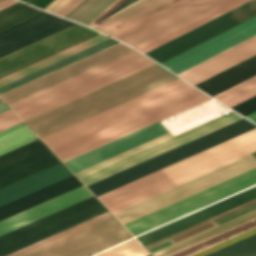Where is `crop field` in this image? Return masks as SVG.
I'll list each match as a JSON object with an SVG mask.
<instances>
[{"label": "crop field", "mask_w": 256, "mask_h": 256, "mask_svg": "<svg viewBox=\"0 0 256 256\" xmlns=\"http://www.w3.org/2000/svg\"><path fill=\"white\" fill-rule=\"evenodd\" d=\"M37 139L23 123L0 132V154Z\"/></svg>", "instance_id": "eef30255"}, {"label": "crop field", "mask_w": 256, "mask_h": 256, "mask_svg": "<svg viewBox=\"0 0 256 256\" xmlns=\"http://www.w3.org/2000/svg\"><path fill=\"white\" fill-rule=\"evenodd\" d=\"M183 0H141L94 29L113 36ZM230 0H185L113 37L138 47Z\"/></svg>", "instance_id": "f4fd0767"}, {"label": "crop field", "mask_w": 256, "mask_h": 256, "mask_svg": "<svg viewBox=\"0 0 256 256\" xmlns=\"http://www.w3.org/2000/svg\"><path fill=\"white\" fill-rule=\"evenodd\" d=\"M155 64L136 51L10 104L27 119L141 69Z\"/></svg>", "instance_id": "dd49c442"}, {"label": "crop field", "mask_w": 256, "mask_h": 256, "mask_svg": "<svg viewBox=\"0 0 256 256\" xmlns=\"http://www.w3.org/2000/svg\"><path fill=\"white\" fill-rule=\"evenodd\" d=\"M1 103H3V101L0 99V104ZM7 109H9V107L5 103L0 105V112H3L5 110H7Z\"/></svg>", "instance_id": "03da06ac"}, {"label": "crop field", "mask_w": 256, "mask_h": 256, "mask_svg": "<svg viewBox=\"0 0 256 256\" xmlns=\"http://www.w3.org/2000/svg\"><path fill=\"white\" fill-rule=\"evenodd\" d=\"M83 0H71L68 2L64 7H62L56 14L64 17L67 15L71 10H73L77 5H79Z\"/></svg>", "instance_id": "e1f06a70"}, {"label": "crop field", "mask_w": 256, "mask_h": 256, "mask_svg": "<svg viewBox=\"0 0 256 256\" xmlns=\"http://www.w3.org/2000/svg\"><path fill=\"white\" fill-rule=\"evenodd\" d=\"M253 168H256V159L249 154L236 161L118 211L114 213V215L123 224H125ZM255 183L256 169H253L193 196L129 222L125 224V226L133 235H137Z\"/></svg>", "instance_id": "34b2d1b8"}, {"label": "crop field", "mask_w": 256, "mask_h": 256, "mask_svg": "<svg viewBox=\"0 0 256 256\" xmlns=\"http://www.w3.org/2000/svg\"><path fill=\"white\" fill-rule=\"evenodd\" d=\"M135 1H137V0H127V1H125L121 6H119V7H118L114 12H112L111 14L117 12L118 10L122 9L123 7H125V6H127V5H129V4H131V3H133V2H135ZM111 14H110V15H111ZM110 15H109V16H110Z\"/></svg>", "instance_id": "c21b1889"}, {"label": "crop field", "mask_w": 256, "mask_h": 256, "mask_svg": "<svg viewBox=\"0 0 256 256\" xmlns=\"http://www.w3.org/2000/svg\"><path fill=\"white\" fill-rule=\"evenodd\" d=\"M255 217H256V216H253V217H251V218H249V219H246V220H244V221H242V222H239V223H237V224H235V225H233V226H230V227H228V228H226V229H229V228H231V227H234V226H236V225H238V224H241V223H243V222H245V221H248V220H250V219H252V218H255ZM255 227H256V218H255V219H252V220H250V221H248V222H245V223H243V224H241V225H238V226H236V227H234V228H231V229H229V230H227V231H224V230H226V229H223V230L219 231V232L224 231V232H222V233L216 232V233H214V234H212V235H215V234H217V233H219V234H217V235H215V236L210 235V236H212V237L207 236V237H205V238H208V237H210V238H208V239L203 238V239H205V240L200 239V240H198V241H201V240H203V241H201V242L196 241V242H198V243L193 242V243H191V244H194V243H196V244H194V245L189 244V245H191V246H189V245H187V246H189V247L184 246V247H187V248L182 247V248H184V249L180 248V249H182V250L177 249V250H180V251L175 250V251H177V252L173 251V252H175V253L170 252V253H173V254L168 253V254H170V255H168V254H166V255H168V256H191V255L196 254V253H198V252H200V251H202V250H205V249H207V248H209V247H212V246H214V245H216V244H219V243H221V242H223V241H225V240H228V239H230V238H232V237H235V236H237V235H239V234H242V233H244V232H246V231H248V230H251V229H253V228H255ZM166 255H164V256H166Z\"/></svg>", "instance_id": "00972430"}, {"label": "crop field", "mask_w": 256, "mask_h": 256, "mask_svg": "<svg viewBox=\"0 0 256 256\" xmlns=\"http://www.w3.org/2000/svg\"><path fill=\"white\" fill-rule=\"evenodd\" d=\"M255 15L256 0H252L146 54L161 63Z\"/></svg>", "instance_id": "d1516ede"}, {"label": "crop field", "mask_w": 256, "mask_h": 256, "mask_svg": "<svg viewBox=\"0 0 256 256\" xmlns=\"http://www.w3.org/2000/svg\"><path fill=\"white\" fill-rule=\"evenodd\" d=\"M148 254L149 253L134 239L96 256H146Z\"/></svg>", "instance_id": "1d83c4d3"}, {"label": "crop field", "mask_w": 256, "mask_h": 256, "mask_svg": "<svg viewBox=\"0 0 256 256\" xmlns=\"http://www.w3.org/2000/svg\"><path fill=\"white\" fill-rule=\"evenodd\" d=\"M105 211L107 209L92 196L0 236V256H5Z\"/></svg>", "instance_id": "3316defc"}, {"label": "crop field", "mask_w": 256, "mask_h": 256, "mask_svg": "<svg viewBox=\"0 0 256 256\" xmlns=\"http://www.w3.org/2000/svg\"><path fill=\"white\" fill-rule=\"evenodd\" d=\"M253 215H256V210L253 211V212H250V213H248V214H246V215H243V216H241V217H239V218H236V219H234V220H232V221H230V222H227V223H225V224H223V225H220V226H218V227H216V228H213V229H211V230H209V231H207V232H204V233H202V234H200V235H197V236H195V237H193V238H190V239H188V240H186V241H184V242H181V243H179V244H177V245H174V246H172V247H170V248H167V249H165V250H163V251H161V252H158V253L154 254V256H161V255H164V254H166V253H168V252H170V251H173V250H175V249H177V248H180V247H182V246H184V245H187V244H189V243H191V242H193V241H196V240H198V239H200V238H203V237H205V236H207V235H210V234H212V233H214V232H216V231H219V230H221V229H223V228H226V227H228V226H230V225H233V224H235V223H237V222H239V221H242V220H244V219H246V218H249V217H251V216H253Z\"/></svg>", "instance_id": "120bbe31"}, {"label": "crop field", "mask_w": 256, "mask_h": 256, "mask_svg": "<svg viewBox=\"0 0 256 256\" xmlns=\"http://www.w3.org/2000/svg\"><path fill=\"white\" fill-rule=\"evenodd\" d=\"M206 256H256V234Z\"/></svg>", "instance_id": "bd1437ed"}, {"label": "crop field", "mask_w": 256, "mask_h": 256, "mask_svg": "<svg viewBox=\"0 0 256 256\" xmlns=\"http://www.w3.org/2000/svg\"><path fill=\"white\" fill-rule=\"evenodd\" d=\"M256 151V128L163 168L177 183Z\"/></svg>", "instance_id": "28ad6ade"}, {"label": "crop field", "mask_w": 256, "mask_h": 256, "mask_svg": "<svg viewBox=\"0 0 256 256\" xmlns=\"http://www.w3.org/2000/svg\"><path fill=\"white\" fill-rule=\"evenodd\" d=\"M131 237L107 211L7 256H89Z\"/></svg>", "instance_id": "e52e79f7"}, {"label": "crop field", "mask_w": 256, "mask_h": 256, "mask_svg": "<svg viewBox=\"0 0 256 256\" xmlns=\"http://www.w3.org/2000/svg\"><path fill=\"white\" fill-rule=\"evenodd\" d=\"M80 186H82V184L74 175H72L66 179H63L0 207V221ZM90 196H92V194L84 186H82L78 189L33 207L27 211L1 221L0 235Z\"/></svg>", "instance_id": "d8731c3e"}, {"label": "crop field", "mask_w": 256, "mask_h": 256, "mask_svg": "<svg viewBox=\"0 0 256 256\" xmlns=\"http://www.w3.org/2000/svg\"><path fill=\"white\" fill-rule=\"evenodd\" d=\"M95 31L91 30V29H88L84 26H81V25H78V24H75L69 28H66L60 32H57L51 36H48L42 40H39L33 44H30L24 48H21L15 52H12L6 56H3L0 58V74L3 73V72H6L12 68H15L21 64H24L30 60H33L41 55H44L50 51H53L59 47H62L68 43H71L77 39H80L86 35H89L91 33H93ZM99 33L95 32L89 36H86L80 40H77L71 44H68L62 48H59L53 52H50L44 56H41L33 61H30L24 65H21L15 69H12L6 73H3L0 75V78L7 75V74H10L16 70H19L25 66H28L34 62H37L45 57H48L54 53H57L63 49H66L72 45H75L81 41H84L90 37H93L95 35H97Z\"/></svg>", "instance_id": "22f410ed"}, {"label": "crop field", "mask_w": 256, "mask_h": 256, "mask_svg": "<svg viewBox=\"0 0 256 256\" xmlns=\"http://www.w3.org/2000/svg\"><path fill=\"white\" fill-rule=\"evenodd\" d=\"M1 1H3V0H1ZM16 2H18V1H16V0H5V1H3V2H0V10L1 9H3V8H5V7H7V6H10V5H12V4H14V3H16ZM19 3V2H18ZM17 4V3H16ZM15 5V4H14ZM13 6V5H12ZM8 8V7H7ZM6 9V8H5ZM4 10V9H3Z\"/></svg>", "instance_id": "c035e120"}, {"label": "crop field", "mask_w": 256, "mask_h": 256, "mask_svg": "<svg viewBox=\"0 0 256 256\" xmlns=\"http://www.w3.org/2000/svg\"><path fill=\"white\" fill-rule=\"evenodd\" d=\"M166 133H168V131L159 122H157L130 135L69 160L65 162V164L74 173H76Z\"/></svg>", "instance_id": "bc2a9ffb"}, {"label": "crop field", "mask_w": 256, "mask_h": 256, "mask_svg": "<svg viewBox=\"0 0 256 256\" xmlns=\"http://www.w3.org/2000/svg\"><path fill=\"white\" fill-rule=\"evenodd\" d=\"M174 185L176 183L160 169L102 194L98 198L114 213Z\"/></svg>", "instance_id": "4a817a6b"}, {"label": "crop field", "mask_w": 256, "mask_h": 256, "mask_svg": "<svg viewBox=\"0 0 256 256\" xmlns=\"http://www.w3.org/2000/svg\"><path fill=\"white\" fill-rule=\"evenodd\" d=\"M52 1L54 0H29L28 3L39 7L41 9H44L46 6H48Z\"/></svg>", "instance_id": "b80d0937"}, {"label": "crop field", "mask_w": 256, "mask_h": 256, "mask_svg": "<svg viewBox=\"0 0 256 256\" xmlns=\"http://www.w3.org/2000/svg\"><path fill=\"white\" fill-rule=\"evenodd\" d=\"M123 1L125 0H117L114 2L110 7H108L103 13H101L97 18H95L91 23L88 24V26H93L96 23H98L100 20H102L105 16H107L111 11H113L117 6H119ZM127 1V0H126ZM121 6V5H120ZM115 11V10H114ZM113 11V12H114ZM109 16V15H108ZM107 16V17H108Z\"/></svg>", "instance_id": "028f5c9d"}, {"label": "crop field", "mask_w": 256, "mask_h": 256, "mask_svg": "<svg viewBox=\"0 0 256 256\" xmlns=\"http://www.w3.org/2000/svg\"><path fill=\"white\" fill-rule=\"evenodd\" d=\"M248 1H250V0H233V1H231L227 4H225V5L217 8V9H215V10H213V11H211V12H209V13H207V14H205V15H203V16H201V17H199V18H197V19H195V20H193V21H191V22H189V23H187V24H185V25H183V26H181V27H179V28H177V29H175V30H173V31H171V32H169V33L151 41V42H149V43H147V44H145V45H143V46H141V47H139V48H137V50L145 53V52H147V51H149V50H151V49H153V48H155V47H157V46H159V45H161V44H163V43H165V42H167V41H169V40H171V39H173V38H175V37H177V36H179V35H181L185 32H187V31H189V30H191V29H193V28H195V27H197L201 24H204V23H206V22H208V21H210V20H212V19H214V18H216V17H218V16H220V15H222V14H224V13H226V12H228V11H230V10H232V9H234V8L244 4L246 2H248Z\"/></svg>", "instance_id": "a9b5d70f"}, {"label": "crop field", "mask_w": 256, "mask_h": 256, "mask_svg": "<svg viewBox=\"0 0 256 256\" xmlns=\"http://www.w3.org/2000/svg\"><path fill=\"white\" fill-rule=\"evenodd\" d=\"M58 162L39 139L0 155V188Z\"/></svg>", "instance_id": "cbeb9de0"}, {"label": "crop field", "mask_w": 256, "mask_h": 256, "mask_svg": "<svg viewBox=\"0 0 256 256\" xmlns=\"http://www.w3.org/2000/svg\"><path fill=\"white\" fill-rule=\"evenodd\" d=\"M114 1L115 0H88L71 16H69L68 19L87 25Z\"/></svg>", "instance_id": "750c4746"}, {"label": "crop field", "mask_w": 256, "mask_h": 256, "mask_svg": "<svg viewBox=\"0 0 256 256\" xmlns=\"http://www.w3.org/2000/svg\"><path fill=\"white\" fill-rule=\"evenodd\" d=\"M256 54V36L178 74L195 85Z\"/></svg>", "instance_id": "214f88e0"}, {"label": "crop field", "mask_w": 256, "mask_h": 256, "mask_svg": "<svg viewBox=\"0 0 256 256\" xmlns=\"http://www.w3.org/2000/svg\"><path fill=\"white\" fill-rule=\"evenodd\" d=\"M254 35H256V17L162 64L178 74Z\"/></svg>", "instance_id": "d9b57169"}, {"label": "crop field", "mask_w": 256, "mask_h": 256, "mask_svg": "<svg viewBox=\"0 0 256 256\" xmlns=\"http://www.w3.org/2000/svg\"><path fill=\"white\" fill-rule=\"evenodd\" d=\"M254 95H256V76L214 97L231 107Z\"/></svg>", "instance_id": "ae1a2a85"}, {"label": "crop field", "mask_w": 256, "mask_h": 256, "mask_svg": "<svg viewBox=\"0 0 256 256\" xmlns=\"http://www.w3.org/2000/svg\"><path fill=\"white\" fill-rule=\"evenodd\" d=\"M24 1V0H23ZM26 1V0H25Z\"/></svg>", "instance_id": "b54c1fbb"}, {"label": "crop field", "mask_w": 256, "mask_h": 256, "mask_svg": "<svg viewBox=\"0 0 256 256\" xmlns=\"http://www.w3.org/2000/svg\"><path fill=\"white\" fill-rule=\"evenodd\" d=\"M176 79L172 73L155 64L25 122L42 138Z\"/></svg>", "instance_id": "412701ff"}, {"label": "crop field", "mask_w": 256, "mask_h": 256, "mask_svg": "<svg viewBox=\"0 0 256 256\" xmlns=\"http://www.w3.org/2000/svg\"><path fill=\"white\" fill-rule=\"evenodd\" d=\"M253 198H256V186L250 188V189H247L241 193H238L234 196H231L225 200H222L216 204H213L207 208H204L200 211H197L191 215H188L182 219H179L173 223H170L164 227H161L157 230H154L148 234H145L139 238H137L144 246L152 243V242H155L159 239H162L168 235H171L175 232H178L184 228H187L191 225H194L200 221H203L207 218H210L216 214H219L223 211H226L230 208H233L237 205H240L244 202H247ZM256 208V199H253L247 203H244L240 206H237L233 209H230L226 212H223L219 215H216L210 219H207L203 222H200L194 226H191L187 229H184L178 233H175L171 236H168L162 240H159L155 243H152L148 246H146L147 249L153 247V246H156L160 243H163L165 241H168L172 238H175L179 235H181L184 239L192 236V235H195L199 232H202L208 228H211L215 225H218L224 221H227L231 218H234L240 214H243L247 211H250L252 209Z\"/></svg>", "instance_id": "5a996713"}, {"label": "crop field", "mask_w": 256, "mask_h": 256, "mask_svg": "<svg viewBox=\"0 0 256 256\" xmlns=\"http://www.w3.org/2000/svg\"><path fill=\"white\" fill-rule=\"evenodd\" d=\"M19 122H21V120L11 109L0 113V131Z\"/></svg>", "instance_id": "5866460e"}, {"label": "crop field", "mask_w": 256, "mask_h": 256, "mask_svg": "<svg viewBox=\"0 0 256 256\" xmlns=\"http://www.w3.org/2000/svg\"><path fill=\"white\" fill-rule=\"evenodd\" d=\"M234 110H236L238 113L246 116L254 111H256V96L232 107ZM251 121L256 123V112L246 116Z\"/></svg>", "instance_id": "d32e631a"}, {"label": "crop field", "mask_w": 256, "mask_h": 256, "mask_svg": "<svg viewBox=\"0 0 256 256\" xmlns=\"http://www.w3.org/2000/svg\"><path fill=\"white\" fill-rule=\"evenodd\" d=\"M73 24L43 12L0 32V57Z\"/></svg>", "instance_id": "733c2abd"}, {"label": "crop field", "mask_w": 256, "mask_h": 256, "mask_svg": "<svg viewBox=\"0 0 256 256\" xmlns=\"http://www.w3.org/2000/svg\"><path fill=\"white\" fill-rule=\"evenodd\" d=\"M72 175L67 167L58 163L0 189V206Z\"/></svg>", "instance_id": "92a150f3"}, {"label": "crop field", "mask_w": 256, "mask_h": 256, "mask_svg": "<svg viewBox=\"0 0 256 256\" xmlns=\"http://www.w3.org/2000/svg\"><path fill=\"white\" fill-rule=\"evenodd\" d=\"M107 38H109V37H105V36L99 34V35H97V36H95L93 38H90V39H88V40H86L84 42H81V43H79V44H77L75 46H72V47H70V48H68L66 50H63V51H61V52H59L57 54H54V55H52V56H50L48 58H45V59H43V60H41V61H39L37 63H34V64H32V65H30L28 67H25V68H23V69H21L19 71H16V72H14V73H12L10 75H7V76H5V77L0 79V87L5 85V84H7V83H9V82H12V81L18 79V78H21V77H23V76H25V75H27L29 73H32V72H34V71H36L38 69H41V68H43V67H45V66H47L49 64H52V63H54V62H56L58 60H61V59L65 58V57H67L69 55H72V54H74V53H76L78 51H81V50H83V49H85V48H87L89 46H92V45H94V44H96L98 42H101V41H103V40H105Z\"/></svg>", "instance_id": "4177f3b9"}, {"label": "crop field", "mask_w": 256, "mask_h": 256, "mask_svg": "<svg viewBox=\"0 0 256 256\" xmlns=\"http://www.w3.org/2000/svg\"><path fill=\"white\" fill-rule=\"evenodd\" d=\"M240 119L242 118L231 112L175 138L168 133L141 146L80 171L76 173V175L86 186H88ZM255 127L256 126L254 124L242 119L192 142L92 184L88 186V188L96 196H98Z\"/></svg>", "instance_id": "ac0d7876"}, {"label": "crop field", "mask_w": 256, "mask_h": 256, "mask_svg": "<svg viewBox=\"0 0 256 256\" xmlns=\"http://www.w3.org/2000/svg\"><path fill=\"white\" fill-rule=\"evenodd\" d=\"M116 43H118V42H116L115 40L109 38V39H107V40H105V41H103L101 43H98V44H96V45H94V46H92L90 48H87V49H85V50H83V51H81L79 53H76V54H74V55H72V56H70L68 58H65V59H63V60H61V61H59L57 63H54V64H52V65H50L48 67H45V68H43V69H41V70H39L37 72H34V73H32V74H30V75H28L26 77H23V78L15 81V82H12V83L4 86V87H1L0 88V93H2L4 91H7V90H9L11 88H14V87H16L18 85H21V84H23L25 82H28V81H30L32 79H35V78H37L39 76H42V75H44L46 73H49V72H51L53 70H56V69H58L60 67H63L65 65H67V64H70V63H72L74 61H77V60H79V59H81L83 57H86V56H88L90 54H93V53H95L97 51H100V50H102L104 48H107V47H109L111 45H114Z\"/></svg>", "instance_id": "730fd06b"}, {"label": "crop field", "mask_w": 256, "mask_h": 256, "mask_svg": "<svg viewBox=\"0 0 256 256\" xmlns=\"http://www.w3.org/2000/svg\"><path fill=\"white\" fill-rule=\"evenodd\" d=\"M254 75H256V55L196 86L214 96Z\"/></svg>", "instance_id": "dafd665d"}, {"label": "crop field", "mask_w": 256, "mask_h": 256, "mask_svg": "<svg viewBox=\"0 0 256 256\" xmlns=\"http://www.w3.org/2000/svg\"><path fill=\"white\" fill-rule=\"evenodd\" d=\"M133 51L131 48L119 43L99 53L75 62L69 66L45 75L30 83L24 84L18 88L8 91L1 95V97L8 103H12L119 56Z\"/></svg>", "instance_id": "5142ce71"}, {"label": "crop field", "mask_w": 256, "mask_h": 256, "mask_svg": "<svg viewBox=\"0 0 256 256\" xmlns=\"http://www.w3.org/2000/svg\"><path fill=\"white\" fill-rule=\"evenodd\" d=\"M190 88H192L190 85H188L185 82H183L182 80L178 79L174 82H171L167 85L157 88L151 92H148L144 95H141L137 98H134V99L127 101L123 104H120L116 107H113L107 111H104L100 114H97L93 117H90L86 120H83L79 123L69 126L63 130H60L56 133L46 136V137L42 138V140L46 143V145L50 149H52L56 146H59V145L65 143V142H68L72 139H75L79 136L89 133L95 129H98L102 126H105L109 123L119 120L125 116H128L132 113H135L139 110L149 107L155 103H158L162 100H165L169 97H172V96L179 94V93H181L185 90H188ZM206 98H208V97L205 96L204 94H202L201 92L197 91L196 89L192 88V89L185 91L179 95H176L172 98H169L165 101L155 104L149 108H146V109L139 111L135 114H132L128 117H125L119 121H116L112 124H109V125L102 127L98 130H95L89 134H86L82 137H79L75 140L65 143L59 147H56V148L52 149V151L62 161H64L68 158H71V157L77 155V154H80L84 151L94 148L100 144L110 141L116 137H119L123 134L133 131L139 127H142L146 124L156 121L162 117L172 114L178 110H181L185 107H188V106L195 104V103H197L201 100H204ZM208 99H210V98H208ZM208 99H206V100H208ZM206 100H204V101H206ZM201 102H203V101H201ZM201 102H199V103H201ZM199 103H197V104H199ZM192 106H194V105H192ZM192 106H190V107H192ZM190 107H188V108H190ZM185 109H187V108H185ZM185 109H183V110H185ZM183 110H181V111H183ZM178 112H180V111H178ZM178 112H176V113H178ZM176 113H174V114H176ZM169 116H171V115H169ZM169 116H167V117H169ZM162 119H164V118H162ZM162 119H160V120H162ZM153 123H155V122H153ZM153 123H151V124H153ZM146 126H148V125H146ZM146 126H144V127H146ZM139 129H141V128H139ZM139 129H137V130H139ZM130 133H132V132H130ZM123 136H125V135H123ZM116 139H118V138H116ZM116 139H114V140H116ZM107 143H109V142H107ZM100 146H102V145H100ZM77 156H79V155H77Z\"/></svg>", "instance_id": "8a807250"}, {"label": "crop field", "mask_w": 256, "mask_h": 256, "mask_svg": "<svg viewBox=\"0 0 256 256\" xmlns=\"http://www.w3.org/2000/svg\"><path fill=\"white\" fill-rule=\"evenodd\" d=\"M69 0H55L51 3L45 10L55 13L59 10L63 5H65Z\"/></svg>", "instance_id": "0bd39190"}, {"label": "crop field", "mask_w": 256, "mask_h": 256, "mask_svg": "<svg viewBox=\"0 0 256 256\" xmlns=\"http://www.w3.org/2000/svg\"><path fill=\"white\" fill-rule=\"evenodd\" d=\"M43 11L21 3L0 12V31L35 16Z\"/></svg>", "instance_id": "d3111659"}]
</instances>
